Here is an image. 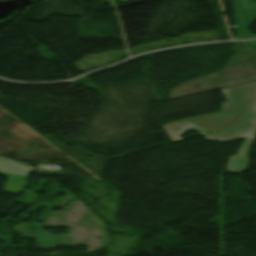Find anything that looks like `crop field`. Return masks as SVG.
Returning <instances> with one entry per match:
<instances>
[{
	"label": "crop field",
	"mask_w": 256,
	"mask_h": 256,
	"mask_svg": "<svg viewBox=\"0 0 256 256\" xmlns=\"http://www.w3.org/2000/svg\"><path fill=\"white\" fill-rule=\"evenodd\" d=\"M227 102L220 112L179 120L163 125L171 141H181L179 135L195 129L205 140L227 142L246 138L236 156H230L227 168L230 173H241L247 168V152L256 128V82L221 90ZM204 130L211 131L210 135Z\"/></svg>",
	"instance_id": "1"
},
{
	"label": "crop field",
	"mask_w": 256,
	"mask_h": 256,
	"mask_svg": "<svg viewBox=\"0 0 256 256\" xmlns=\"http://www.w3.org/2000/svg\"><path fill=\"white\" fill-rule=\"evenodd\" d=\"M239 38L256 37L249 32V27L256 20V1L254 0H231ZM234 37V38H236Z\"/></svg>",
	"instance_id": "2"
},
{
	"label": "crop field",
	"mask_w": 256,
	"mask_h": 256,
	"mask_svg": "<svg viewBox=\"0 0 256 256\" xmlns=\"http://www.w3.org/2000/svg\"><path fill=\"white\" fill-rule=\"evenodd\" d=\"M246 51H256V40L242 42Z\"/></svg>",
	"instance_id": "3"
}]
</instances>
